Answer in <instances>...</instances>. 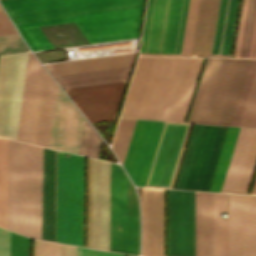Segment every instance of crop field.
Here are the masks:
<instances>
[{
    "label": "crop field",
    "instance_id": "obj_1",
    "mask_svg": "<svg viewBox=\"0 0 256 256\" xmlns=\"http://www.w3.org/2000/svg\"><path fill=\"white\" fill-rule=\"evenodd\" d=\"M33 51L50 46L37 25L75 20L88 43L138 37L144 0H0ZM74 21V22H75Z\"/></svg>",
    "mask_w": 256,
    "mask_h": 256
},
{
    "label": "crop field",
    "instance_id": "obj_2",
    "mask_svg": "<svg viewBox=\"0 0 256 256\" xmlns=\"http://www.w3.org/2000/svg\"><path fill=\"white\" fill-rule=\"evenodd\" d=\"M202 59L139 57L121 115L183 121Z\"/></svg>",
    "mask_w": 256,
    "mask_h": 256
},
{
    "label": "crop field",
    "instance_id": "obj_3",
    "mask_svg": "<svg viewBox=\"0 0 256 256\" xmlns=\"http://www.w3.org/2000/svg\"><path fill=\"white\" fill-rule=\"evenodd\" d=\"M165 122L137 119L124 168L145 186ZM190 124L166 122L146 186L170 188Z\"/></svg>",
    "mask_w": 256,
    "mask_h": 256
},
{
    "label": "crop field",
    "instance_id": "obj_4",
    "mask_svg": "<svg viewBox=\"0 0 256 256\" xmlns=\"http://www.w3.org/2000/svg\"><path fill=\"white\" fill-rule=\"evenodd\" d=\"M42 147L8 139L7 228L41 239Z\"/></svg>",
    "mask_w": 256,
    "mask_h": 256
},
{
    "label": "crop field",
    "instance_id": "obj_5",
    "mask_svg": "<svg viewBox=\"0 0 256 256\" xmlns=\"http://www.w3.org/2000/svg\"><path fill=\"white\" fill-rule=\"evenodd\" d=\"M250 61L208 58L188 122L231 125Z\"/></svg>",
    "mask_w": 256,
    "mask_h": 256
},
{
    "label": "crop field",
    "instance_id": "obj_6",
    "mask_svg": "<svg viewBox=\"0 0 256 256\" xmlns=\"http://www.w3.org/2000/svg\"><path fill=\"white\" fill-rule=\"evenodd\" d=\"M57 84L29 52L17 139L49 144Z\"/></svg>",
    "mask_w": 256,
    "mask_h": 256
},
{
    "label": "crop field",
    "instance_id": "obj_7",
    "mask_svg": "<svg viewBox=\"0 0 256 256\" xmlns=\"http://www.w3.org/2000/svg\"><path fill=\"white\" fill-rule=\"evenodd\" d=\"M57 151L56 241L83 246L84 157Z\"/></svg>",
    "mask_w": 256,
    "mask_h": 256
},
{
    "label": "crop field",
    "instance_id": "obj_8",
    "mask_svg": "<svg viewBox=\"0 0 256 256\" xmlns=\"http://www.w3.org/2000/svg\"><path fill=\"white\" fill-rule=\"evenodd\" d=\"M188 0H148L141 55L180 56Z\"/></svg>",
    "mask_w": 256,
    "mask_h": 256
},
{
    "label": "crop field",
    "instance_id": "obj_9",
    "mask_svg": "<svg viewBox=\"0 0 256 256\" xmlns=\"http://www.w3.org/2000/svg\"><path fill=\"white\" fill-rule=\"evenodd\" d=\"M238 0H199L191 56L229 57Z\"/></svg>",
    "mask_w": 256,
    "mask_h": 256
},
{
    "label": "crop field",
    "instance_id": "obj_10",
    "mask_svg": "<svg viewBox=\"0 0 256 256\" xmlns=\"http://www.w3.org/2000/svg\"><path fill=\"white\" fill-rule=\"evenodd\" d=\"M117 165L111 163L110 250L138 255V199Z\"/></svg>",
    "mask_w": 256,
    "mask_h": 256
},
{
    "label": "crop field",
    "instance_id": "obj_11",
    "mask_svg": "<svg viewBox=\"0 0 256 256\" xmlns=\"http://www.w3.org/2000/svg\"><path fill=\"white\" fill-rule=\"evenodd\" d=\"M28 52L0 56V136L6 134L11 91L12 99L6 137L16 139Z\"/></svg>",
    "mask_w": 256,
    "mask_h": 256
},
{
    "label": "crop field",
    "instance_id": "obj_12",
    "mask_svg": "<svg viewBox=\"0 0 256 256\" xmlns=\"http://www.w3.org/2000/svg\"><path fill=\"white\" fill-rule=\"evenodd\" d=\"M168 256H194V192L167 190Z\"/></svg>",
    "mask_w": 256,
    "mask_h": 256
},
{
    "label": "crop field",
    "instance_id": "obj_13",
    "mask_svg": "<svg viewBox=\"0 0 256 256\" xmlns=\"http://www.w3.org/2000/svg\"><path fill=\"white\" fill-rule=\"evenodd\" d=\"M228 256H256V196L228 195Z\"/></svg>",
    "mask_w": 256,
    "mask_h": 256
},
{
    "label": "crop field",
    "instance_id": "obj_14",
    "mask_svg": "<svg viewBox=\"0 0 256 256\" xmlns=\"http://www.w3.org/2000/svg\"><path fill=\"white\" fill-rule=\"evenodd\" d=\"M227 128L203 126L184 189L209 190Z\"/></svg>",
    "mask_w": 256,
    "mask_h": 256
},
{
    "label": "crop field",
    "instance_id": "obj_15",
    "mask_svg": "<svg viewBox=\"0 0 256 256\" xmlns=\"http://www.w3.org/2000/svg\"><path fill=\"white\" fill-rule=\"evenodd\" d=\"M110 163L92 159L91 247L109 250Z\"/></svg>",
    "mask_w": 256,
    "mask_h": 256
},
{
    "label": "crop field",
    "instance_id": "obj_16",
    "mask_svg": "<svg viewBox=\"0 0 256 256\" xmlns=\"http://www.w3.org/2000/svg\"><path fill=\"white\" fill-rule=\"evenodd\" d=\"M84 117L57 88L49 147L78 154Z\"/></svg>",
    "mask_w": 256,
    "mask_h": 256
},
{
    "label": "crop field",
    "instance_id": "obj_17",
    "mask_svg": "<svg viewBox=\"0 0 256 256\" xmlns=\"http://www.w3.org/2000/svg\"><path fill=\"white\" fill-rule=\"evenodd\" d=\"M125 83H116L76 89L67 93L91 122L115 118Z\"/></svg>",
    "mask_w": 256,
    "mask_h": 256
},
{
    "label": "crop field",
    "instance_id": "obj_18",
    "mask_svg": "<svg viewBox=\"0 0 256 256\" xmlns=\"http://www.w3.org/2000/svg\"><path fill=\"white\" fill-rule=\"evenodd\" d=\"M256 163V129L241 128L221 192L246 193Z\"/></svg>",
    "mask_w": 256,
    "mask_h": 256
},
{
    "label": "crop field",
    "instance_id": "obj_19",
    "mask_svg": "<svg viewBox=\"0 0 256 256\" xmlns=\"http://www.w3.org/2000/svg\"><path fill=\"white\" fill-rule=\"evenodd\" d=\"M143 255L162 256V189L142 188Z\"/></svg>",
    "mask_w": 256,
    "mask_h": 256
},
{
    "label": "crop field",
    "instance_id": "obj_20",
    "mask_svg": "<svg viewBox=\"0 0 256 256\" xmlns=\"http://www.w3.org/2000/svg\"><path fill=\"white\" fill-rule=\"evenodd\" d=\"M56 151L43 147L42 239L55 241Z\"/></svg>",
    "mask_w": 256,
    "mask_h": 256
},
{
    "label": "crop field",
    "instance_id": "obj_21",
    "mask_svg": "<svg viewBox=\"0 0 256 256\" xmlns=\"http://www.w3.org/2000/svg\"><path fill=\"white\" fill-rule=\"evenodd\" d=\"M195 256H213V193L195 192Z\"/></svg>",
    "mask_w": 256,
    "mask_h": 256
},
{
    "label": "crop field",
    "instance_id": "obj_22",
    "mask_svg": "<svg viewBox=\"0 0 256 256\" xmlns=\"http://www.w3.org/2000/svg\"><path fill=\"white\" fill-rule=\"evenodd\" d=\"M135 53L101 57L79 61L48 64L46 67L53 76L79 73L107 68L129 66L133 64Z\"/></svg>",
    "mask_w": 256,
    "mask_h": 256
},
{
    "label": "crop field",
    "instance_id": "obj_23",
    "mask_svg": "<svg viewBox=\"0 0 256 256\" xmlns=\"http://www.w3.org/2000/svg\"><path fill=\"white\" fill-rule=\"evenodd\" d=\"M234 57L256 58V0H243Z\"/></svg>",
    "mask_w": 256,
    "mask_h": 256
},
{
    "label": "crop field",
    "instance_id": "obj_24",
    "mask_svg": "<svg viewBox=\"0 0 256 256\" xmlns=\"http://www.w3.org/2000/svg\"><path fill=\"white\" fill-rule=\"evenodd\" d=\"M132 66L55 77L64 89L127 81Z\"/></svg>",
    "mask_w": 256,
    "mask_h": 256
},
{
    "label": "crop field",
    "instance_id": "obj_25",
    "mask_svg": "<svg viewBox=\"0 0 256 256\" xmlns=\"http://www.w3.org/2000/svg\"><path fill=\"white\" fill-rule=\"evenodd\" d=\"M226 213V194L214 193V256H227V219L219 215Z\"/></svg>",
    "mask_w": 256,
    "mask_h": 256
},
{
    "label": "crop field",
    "instance_id": "obj_26",
    "mask_svg": "<svg viewBox=\"0 0 256 256\" xmlns=\"http://www.w3.org/2000/svg\"><path fill=\"white\" fill-rule=\"evenodd\" d=\"M240 128L229 127L209 191L220 192Z\"/></svg>",
    "mask_w": 256,
    "mask_h": 256
},
{
    "label": "crop field",
    "instance_id": "obj_27",
    "mask_svg": "<svg viewBox=\"0 0 256 256\" xmlns=\"http://www.w3.org/2000/svg\"><path fill=\"white\" fill-rule=\"evenodd\" d=\"M7 139L0 137V226L6 228Z\"/></svg>",
    "mask_w": 256,
    "mask_h": 256
},
{
    "label": "crop field",
    "instance_id": "obj_28",
    "mask_svg": "<svg viewBox=\"0 0 256 256\" xmlns=\"http://www.w3.org/2000/svg\"><path fill=\"white\" fill-rule=\"evenodd\" d=\"M135 120L136 119L121 118L118 129H117V133L112 145V149L116 152L122 164H123V160L126 154L129 140L132 134V130L135 124Z\"/></svg>",
    "mask_w": 256,
    "mask_h": 256
},
{
    "label": "crop field",
    "instance_id": "obj_29",
    "mask_svg": "<svg viewBox=\"0 0 256 256\" xmlns=\"http://www.w3.org/2000/svg\"><path fill=\"white\" fill-rule=\"evenodd\" d=\"M203 125L195 124L175 188L183 189Z\"/></svg>",
    "mask_w": 256,
    "mask_h": 256
},
{
    "label": "crop field",
    "instance_id": "obj_30",
    "mask_svg": "<svg viewBox=\"0 0 256 256\" xmlns=\"http://www.w3.org/2000/svg\"><path fill=\"white\" fill-rule=\"evenodd\" d=\"M99 141L100 137L85 119L79 154L97 158Z\"/></svg>",
    "mask_w": 256,
    "mask_h": 256
},
{
    "label": "crop field",
    "instance_id": "obj_31",
    "mask_svg": "<svg viewBox=\"0 0 256 256\" xmlns=\"http://www.w3.org/2000/svg\"><path fill=\"white\" fill-rule=\"evenodd\" d=\"M197 7H198V0H189V7H188V14H187L181 56H190V53H191Z\"/></svg>",
    "mask_w": 256,
    "mask_h": 256
},
{
    "label": "crop field",
    "instance_id": "obj_32",
    "mask_svg": "<svg viewBox=\"0 0 256 256\" xmlns=\"http://www.w3.org/2000/svg\"><path fill=\"white\" fill-rule=\"evenodd\" d=\"M239 126L256 127V74Z\"/></svg>",
    "mask_w": 256,
    "mask_h": 256
},
{
    "label": "crop field",
    "instance_id": "obj_33",
    "mask_svg": "<svg viewBox=\"0 0 256 256\" xmlns=\"http://www.w3.org/2000/svg\"><path fill=\"white\" fill-rule=\"evenodd\" d=\"M255 71H256V60H252L232 125H235V126L239 125Z\"/></svg>",
    "mask_w": 256,
    "mask_h": 256
},
{
    "label": "crop field",
    "instance_id": "obj_34",
    "mask_svg": "<svg viewBox=\"0 0 256 256\" xmlns=\"http://www.w3.org/2000/svg\"><path fill=\"white\" fill-rule=\"evenodd\" d=\"M28 50L18 34L0 36V54Z\"/></svg>",
    "mask_w": 256,
    "mask_h": 256
},
{
    "label": "crop field",
    "instance_id": "obj_35",
    "mask_svg": "<svg viewBox=\"0 0 256 256\" xmlns=\"http://www.w3.org/2000/svg\"><path fill=\"white\" fill-rule=\"evenodd\" d=\"M29 238L11 232L10 256H28Z\"/></svg>",
    "mask_w": 256,
    "mask_h": 256
},
{
    "label": "crop field",
    "instance_id": "obj_36",
    "mask_svg": "<svg viewBox=\"0 0 256 256\" xmlns=\"http://www.w3.org/2000/svg\"><path fill=\"white\" fill-rule=\"evenodd\" d=\"M34 256H59V244L35 240Z\"/></svg>",
    "mask_w": 256,
    "mask_h": 256
},
{
    "label": "crop field",
    "instance_id": "obj_37",
    "mask_svg": "<svg viewBox=\"0 0 256 256\" xmlns=\"http://www.w3.org/2000/svg\"><path fill=\"white\" fill-rule=\"evenodd\" d=\"M10 232L0 228V256H9Z\"/></svg>",
    "mask_w": 256,
    "mask_h": 256
},
{
    "label": "crop field",
    "instance_id": "obj_38",
    "mask_svg": "<svg viewBox=\"0 0 256 256\" xmlns=\"http://www.w3.org/2000/svg\"><path fill=\"white\" fill-rule=\"evenodd\" d=\"M16 33L5 12H0V35Z\"/></svg>",
    "mask_w": 256,
    "mask_h": 256
},
{
    "label": "crop field",
    "instance_id": "obj_39",
    "mask_svg": "<svg viewBox=\"0 0 256 256\" xmlns=\"http://www.w3.org/2000/svg\"><path fill=\"white\" fill-rule=\"evenodd\" d=\"M77 256H125V255L77 247Z\"/></svg>",
    "mask_w": 256,
    "mask_h": 256
},
{
    "label": "crop field",
    "instance_id": "obj_40",
    "mask_svg": "<svg viewBox=\"0 0 256 256\" xmlns=\"http://www.w3.org/2000/svg\"><path fill=\"white\" fill-rule=\"evenodd\" d=\"M60 256H76V247L60 244Z\"/></svg>",
    "mask_w": 256,
    "mask_h": 256
},
{
    "label": "crop field",
    "instance_id": "obj_41",
    "mask_svg": "<svg viewBox=\"0 0 256 256\" xmlns=\"http://www.w3.org/2000/svg\"><path fill=\"white\" fill-rule=\"evenodd\" d=\"M252 194H256V183H255L254 190H253Z\"/></svg>",
    "mask_w": 256,
    "mask_h": 256
},
{
    "label": "crop field",
    "instance_id": "obj_42",
    "mask_svg": "<svg viewBox=\"0 0 256 256\" xmlns=\"http://www.w3.org/2000/svg\"><path fill=\"white\" fill-rule=\"evenodd\" d=\"M0 11H3V9H2V7H1V5H0Z\"/></svg>",
    "mask_w": 256,
    "mask_h": 256
},
{
    "label": "crop field",
    "instance_id": "obj_43",
    "mask_svg": "<svg viewBox=\"0 0 256 256\" xmlns=\"http://www.w3.org/2000/svg\"><path fill=\"white\" fill-rule=\"evenodd\" d=\"M128 256H130V255H128Z\"/></svg>",
    "mask_w": 256,
    "mask_h": 256
}]
</instances>
